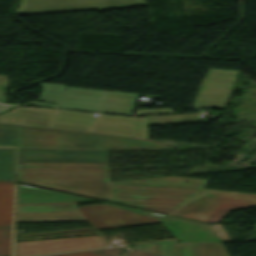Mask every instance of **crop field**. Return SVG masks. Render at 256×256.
I'll return each instance as SVG.
<instances>
[{"mask_svg": "<svg viewBox=\"0 0 256 256\" xmlns=\"http://www.w3.org/2000/svg\"><path fill=\"white\" fill-rule=\"evenodd\" d=\"M17 181L208 222L229 210L256 205V195L203 190L204 180L165 177L109 182L108 164L18 163Z\"/></svg>", "mask_w": 256, "mask_h": 256, "instance_id": "8a807250", "label": "crop field"}, {"mask_svg": "<svg viewBox=\"0 0 256 256\" xmlns=\"http://www.w3.org/2000/svg\"><path fill=\"white\" fill-rule=\"evenodd\" d=\"M15 108L0 115V123L103 133L147 139L146 126L207 122L198 115L127 118L111 115Z\"/></svg>", "mask_w": 256, "mask_h": 256, "instance_id": "ac0d7876", "label": "crop field"}, {"mask_svg": "<svg viewBox=\"0 0 256 256\" xmlns=\"http://www.w3.org/2000/svg\"><path fill=\"white\" fill-rule=\"evenodd\" d=\"M20 146L109 150L175 151L143 139L83 134L19 126Z\"/></svg>", "mask_w": 256, "mask_h": 256, "instance_id": "34b2d1b8", "label": "crop field"}, {"mask_svg": "<svg viewBox=\"0 0 256 256\" xmlns=\"http://www.w3.org/2000/svg\"><path fill=\"white\" fill-rule=\"evenodd\" d=\"M44 89L39 101L58 103L57 105L30 102L27 105L75 109L95 112L131 115L139 94L67 88L64 85L41 83ZM136 97L133 105L129 101Z\"/></svg>", "mask_w": 256, "mask_h": 256, "instance_id": "412701ff", "label": "crop field"}, {"mask_svg": "<svg viewBox=\"0 0 256 256\" xmlns=\"http://www.w3.org/2000/svg\"><path fill=\"white\" fill-rule=\"evenodd\" d=\"M145 4L143 0H21L17 15L62 11L109 10Z\"/></svg>", "mask_w": 256, "mask_h": 256, "instance_id": "f4fd0767", "label": "crop field"}, {"mask_svg": "<svg viewBox=\"0 0 256 256\" xmlns=\"http://www.w3.org/2000/svg\"><path fill=\"white\" fill-rule=\"evenodd\" d=\"M238 71L210 69L192 106L223 109Z\"/></svg>", "mask_w": 256, "mask_h": 256, "instance_id": "dd49c442", "label": "crop field"}, {"mask_svg": "<svg viewBox=\"0 0 256 256\" xmlns=\"http://www.w3.org/2000/svg\"><path fill=\"white\" fill-rule=\"evenodd\" d=\"M18 162L107 163V150L18 149Z\"/></svg>", "mask_w": 256, "mask_h": 256, "instance_id": "e52e79f7", "label": "crop field"}, {"mask_svg": "<svg viewBox=\"0 0 256 256\" xmlns=\"http://www.w3.org/2000/svg\"><path fill=\"white\" fill-rule=\"evenodd\" d=\"M79 210L94 229L159 222L155 218L106 205L80 207Z\"/></svg>", "mask_w": 256, "mask_h": 256, "instance_id": "d8731c3e", "label": "crop field"}, {"mask_svg": "<svg viewBox=\"0 0 256 256\" xmlns=\"http://www.w3.org/2000/svg\"><path fill=\"white\" fill-rule=\"evenodd\" d=\"M106 246L99 236L16 242L15 256L46 254Z\"/></svg>", "mask_w": 256, "mask_h": 256, "instance_id": "5a996713", "label": "crop field"}, {"mask_svg": "<svg viewBox=\"0 0 256 256\" xmlns=\"http://www.w3.org/2000/svg\"><path fill=\"white\" fill-rule=\"evenodd\" d=\"M135 248L157 256H227L220 243L180 244L177 240L139 243Z\"/></svg>", "mask_w": 256, "mask_h": 256, "instance_id": "3316defc", "label": "crop field"}, {"mask_svg": "<svg viewBox=\"0 0 256 256\" xmlns=\"http://www.w3.org/2000/svg\"><path fill=\"white\" fill-rule=\"evenodd\" d=\"M16 221L85 220L76 204L17 205Z\"/></svg>", "mask_w": 256, "mask_h": 256, "instance_id": "28ad6ade", "label": "crop field"}, {"mask_svg": "<svg viewBox=\"0 0 256 256\" xmlns=\"http://www.w3.org/2000/svg\"><path fill=\"white\" fill-rule=\"evenodd\" d=\"M13 182L0 181V226H11Z\"/></svg>", "mask_w": 256, "mask_h": 256, "instance_id": "d1516ede", "label": "crop field"}, {"mask_svg": "<svg viewBox=\"0 0 256 256\" xmlns=\"http://www.w3.org/2000/svg\"><path fill=\"white\" fill-rule=\"evenodd\" d=\"M0 179L14 180V149H0Z\"/></svg>", "mask_w": 256, "mask_h": 256, "instance_id": "22f410ed", "label": "crop field"}, {"mask_svg": "<svg viewBox=\"0 0 256 256\" xmlns=\"http://www.w3.org/2000/svg\"><path fill=\"white\" fill-rule=\"evenodd\" d=\"M0 146H19L18 126L0 124Z\"/></svg>", "mask_w": 256, "mask_h": 256, "instance_id": "cbeb9de0", "label": "crop field"}, {"mask_svg": "<svg viewBox=\"0 0 256 256\" xmlns=\"http://www.w3.org/2000/svg\"><path fill=\"white\" fill-rule=\"evenodd\" d=\"M0 256H11V228H0Z\"/></svg>", "mask_w": 256, "mask_h": 256, "instance_id": "5142ce71", "label": "crop field"}, {"mask_svg": "<svg viewBox=\"0 0 256 256\" xmlns=\"http://www.w3.org/2000/svg\"><path fill=\"white\" fill-rule=\"evenodd\" d=\"M173 114L172 109L137 110L135 116Z\"/></svg>", "mask_w": 256, "mask_h": 256, "instance_id": "d9b57169", "label": "crop field"}, {"mask_svg": "<svg viewBox=\"0 0 256 256\" xmlns=\"http://www.w3.org/2000/svg\"><path fill=\"white\" fill-rule=\"evenodd\" d=\"M8 87V82L6 76L0 75V102L7 103L5 99L6 89Z\"/></svg>", "mask_w": 256, "mask_h": 256, "instance_id": "733c2abd", "label": "crop field"}, {"mask_svg": "<svg viewBox=\"0 0 256 256\" xmlns=\"http://www.w3.org/2000/svg\"><path fill=\"white\" fill-rule=\"evenodd\" d=\"M121 251V249L117 248V247H113V248H105V249H99L96 250V254L102 255V256H119L117 255L119 252Z\"/></svg>", "mask_w": 256, "mask_h": 256, "instance_id": "4a817a6b", "label": "crop field"}, {"mask_svg": "<svg viewBox=\"0 0 256 256\" xmlns=\"http://www.w3.org/2000/svg\"><path fill=\"white\" fill-rule=\"evenodd\" d=\"M95 250L92 251H83V252H73V253H64V254H56V255H47V256H99L93 254Z\"/></svg>", "mask_w": 256, "mask_h": 256, "instance_id": "bc2a9ffb", "label": "crop field"}, {"mask_svg": "<svg viewBox=\"0 0 256 256\" xmlns=\"http://www.w3.org/2000/svg\"><path fill=\"white\" fill-rule=\"evenodd\" d=\"M126 256H154V255H151L146 252L133 248L131 252L128 253Z\"/></svg>", "mask_w": 256, "mask_h": 256, "instance_id": "214f88e0", "label": "crop field"}, {"mask_svg": "<svg viewBox=\"0 0 256 256\" xmlns=\"http://www.w3.org/2000/svg\"><path fill=\"white\" fill-rule=\"evenodd\" d=\"M8 107H10V105H3V104H0V111L6 109V108H8Z\"/></svg>", "mask_w": 256, "mask_h": 256, "instance_id": "92a150f3", "label": "crop field"}]
</instances>
